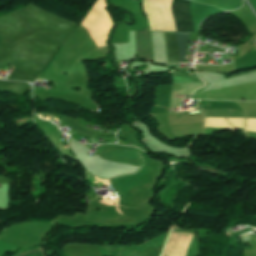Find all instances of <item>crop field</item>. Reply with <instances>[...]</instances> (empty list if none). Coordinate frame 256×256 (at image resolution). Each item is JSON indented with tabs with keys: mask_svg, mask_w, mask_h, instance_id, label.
I'll list each match as a JSON object with an SVG mask.
<instances>
[{
	"mask_svg": "<svg viewBox=\"0 0 256 256\" xmlns=\"http://www.w3.org/2000/svg\"><path fill=\"white\" fill-rule=\"evenodd\" d=\"M161 33H162V37L165 45L167 64L179 63V60H180V63L184 62L189 33H175L179 60H178L174 33H168V32H161Z\"/></svg>",
	"mask_w": 256,
	"mask_h": 256,
	"instance_id": "obj_1",
	"label": "crop field"
},
{
	"mask_svg": "<svg viewBox=\"0 0 256 256\" xmlns=\"http://www.w3.org/2000/svg\"><path fill=\"white\" fill-rule=\"evenodd\" d=\"M189 3L187 0L172 1L171 10L176 32H194Z\"/></svg>",
	"mask_w": 256,
	"mask_h": 256,
	"instance_id": "obj_2",
	"label": "crop field"
},
{
	"mask_svg": "<svg viewBox=\"0 0 256 256\" xmlns=\"http://www.w3.org/2000/svg\"><path fill=\"white\" fill-rule=\"evenodd\" d=\"M245 119L205 118V127L244 128Z\"/></svg>",
	"mask_w": 256,
	"mask_h": 256,
	"instance_id": "obj_3",
	"label": "crop field"
},
{
	"mask_svg": "<svg viewBox=\"0 0 256 256\" xmlns=\"http://www.w3.org/2000/svg\"><path fill=\"white\" fill-rule=\"evenodd\" d=\"M245 130L256 131V120L246 119Z\"/></svg>",
	"mask_w": 256,
	"mask_h": 256,
	"instance_id": "obj_4",
	"label": "crop field"
}]
</instances>
